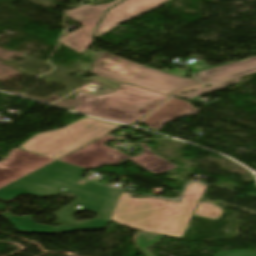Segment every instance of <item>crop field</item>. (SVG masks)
I'll return each instance as SVG.
<instances>
[{
	"instance_id": "crop-field-8",
	"label": "crop field",
	"mask_w": 256,
	"mask_h": 256,
	"mask_svg": "<svg viewBox=\"0 0 256 256\" xmlns=\"http://www.w3.org/2000/svg\"><path fill=\"white\" fill-rule=\"evenodd\" d=\"M256 72V57L226 64L214 69L194 73V76L205 83L213 86L176 97L191 98L217 90L225 89V86L241 82L242 76L249 75Z\"/></svg>"
},
{
	"instance_id": "crop-field-7",
	"label": "crop field",
	"mask_w": 256,
	"mask_h": 256,
	"mask_svg": "<svg viewBox=\"0 0 256 256\" xmlns=\"http://www.w3.org/2000/svg\"><path fill=\"white\" fill-rule=\"evenodd\" d=\"M85 169L54 162L37 172L0 190V199L10 200L21 194L38 197L57 195L60 188L67 189L77 182ZM43 187V189H41Z\"/></svg>"
},
{
	"instance_id": "crop-field-2",
	"label": "crop field",
	"mask_w": 256,
	"mask_h": 256,
	"mask_svg": "<svg viewBox=\"0 0 256 256\" xmlns=\"http://www.w3.org/2000/svg\"><path fill=\"white\" fill-rule=\"evenodd\" d=\"M67 192H71L77 195V197L73 204L54 213L62 226L52 228L47 225L35 224L30 217H14L9 211L1 215L8 218L18 232L54 234L83 229H102L107 225L121 193L119 190L99 186L83 180ZM76 205L82 209L76 208ZM81 210L95 212L98 215L93 220L76 222L72 216Z\"/></svg>"
},
{
	"instance_id": "crop-field-4",
	"label": "crop field",
	"mask_w": 256,
	"mask_h": 256,
	"mask_svg": "<svg viewBox=\"0 0 256 256\" xmlns=\"http://www.w3.org/2000/svg\"><path fill=\"white\" fill-rule=\"evenodd\" d=\"M121 126L84 117L63 129L35 135L18 148L58 159Z\"/></svg>"
},
{
	"instance_id": "crop-field-14",
	"label": "crop field",
	"mask_w": 256,
	"mask_h": 256,
	"mask_svg": "<svg viewBox=\"0 0 256 256\" xmlns=\"http://www.w3.org/2000/svg\"><path fill=\"white\" fill-rule=\"evenodd\" d=\"M199 87H201V84L200 85H196V86H192V87H189V88H185V89H182V90L174 91L170 95L181 93V92H185V91H189V90H193V89H197Z\"/></svg>"
},
{
	"instance_id": "crop-field-10",
	"label": "crop field",
	"mask_w": 256,
	"mask_h": 256,
	"mask_svg": "<svg viewBox=\"0 0 256 256\" xmlns=\"http://www.w3.org/2000/svg\"><path fill=\"white\" fill-rule=\"evenodd\" d=\"M53 161L21 149L13 150L8 158L0 162V188Z\"/></svg>"
},
{
	"instance_id": "crop-field-12",
	"label": "crop field",
	"mask_w": 256,
	"mask_h": 256,
	"mask_svg": "<svg viewBox=\"0 0 256 256\" xmlns=\"http://www.w3.org/2000/svg\"><path fill=\"white\" fill-rule=\"evenodd\" d=\"M198 111L199 109L192 108L189 103L172 98L154 111L141 124L159 130L167 122H171L178 117L195 115Z\"/></svg>"
},
{
	"instance_id": "crop-field-13",
	"label": "crop field",
	"mask_w": 256,
	"mask_h": 256,
	"mask_svg": "<svg viewBox=\"0 0 256 256\" xmlns=\"http://www.w3.org/2000/svg\"><path fill=\"white\" fill-rule=\"evenodd\" d=\"M162 238L163 236L161 235L141 232L137 237L136 244L137 247H139L147 256H153L149 251L146 250V248L153 245Z\"/></svg>"
},
{
	"instance_id": "crop-field-6",
	"label": "crop field",
	"mask_w": 256,
	"mask_h": 256,
	"mask_svg": "<svg viewBox=\"0 0 256 256\" xmlns=\"http://www.w3.org/2000/svg\"><path fill=\"white\" fill-rule=\"evenodd\" d=\"M112 140L118 139L108 135L59 161L89 169L105 164L117 165L128 159L147 170H151V173L154 174H161L166 170L177 167L158 157L144 144H139L143 149V154L133 158L103 145L106 141Z\"/></svg>"
},
{
	"instance_id": "crop-field-9",
	"label": "crop field",
	"mask_w": 256,
	"mask_h": 256,
	"mask_svg": "<svg viewBox=\"0 0 256 256\" xmlns=\"http://www.w3.org/2000/svg\"><path fill=\"white\" fill-rule=\"evenodd\" d=\"M120 1L122 0L97 6L86 4L67 11L66 16L81 23L84 27L62 37L61 43L80 54L92 42L91 35L106 9Z\"/></svg>"
},
{
	"instance_id": "crop-field-11",
	"label": "crop field",
	"mask_w": 256,
	"mask_h": 256,
	"mask_svg": "<svg viewBox=\"0 0 256 256\" xmlns=\"http://www.w3.org/2000/svg\"><path fill=\"white\" fill-rule=\"evenodd\" d=\"M167 0H126L118 6L110 9L97 30L95 37H99L117 25L133 19L142 14L148 13L162 4Z\"/></svg>"
},
{
	"instance_id": "crop-field-1",
	"label": "crop field",
	"mask_w": 256,
	"mask_h": 256,
	"mask_svg": "<svg viewBox=\"0 0 256 256\" xmlns=\"http://www.w3.org/2000/svg\"><path fill=\"white\" fill-rule=\"evenodd\" d=\"M206 185L188 184L180 202L130 197L122 192L111 221L144 231L182 238L192 216L218 220L223 210L217 204L199 201Z\"/></svg>"
},
{
	"instance_id": "crop-field-5",
	"label": "crop field",
	"mask_w": 256,
	"mask_h": 256,
	"mask_svg": "<svg viewBox=\"0 0 256 256\" xmlns=\"http://www.w3.org/2000/svg\"><path fill=\"white\" fill-rule=\"evenodd\" d=\"M90 72L168 95L173 90L200 84V82L149 69L101 51Z\"/></svg>"
},
{
	"instance_id": "crop-field-3",
	"label": "crop field",
	"mask_w": 256,
	"mask_h": 256,
	"mask_svg": "<svg viewBox=\"0 0 256 256\" xmlns=\"http://www.w3.org/2000/svg\"><path fill=\"white\" fill-rule=\"evenodd\" d=\"M92 80L117 91L98 97L79 92L76 99L81 104L73 109L74 111L133 124L167 98V96L98 76H95Z\"/></svg>"
}]
</instances>
